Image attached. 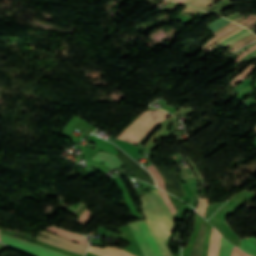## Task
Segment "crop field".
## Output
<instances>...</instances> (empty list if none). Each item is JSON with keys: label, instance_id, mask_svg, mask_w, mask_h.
Returning a JSON list of instances; mask_svg holds the SVG:
<instances>
[{"label": "crop field", "instance_id": "crop-field-6", "mask_svg": "<svg viewBox=\"0 0 256 256\" xmlns=\"http://www.w3.org/2000/svg\"><path fill=\"white\" fill-rule=\"evenodd\" d=\"M89 252L98 254L100 256H134L123 250L105 247L103 249L90 246Z\"/></svg>", "mask_w": 256, "mask_h": 256}, {"label": "crop field", "instance_id": "crop-field-12", "mask_svg": "<svg viewBox=\"0 0 256 256\" xmlns=\"http://www.w3.org/2000/svg\"><path fill=\"white\" fill-rule=\"evenodd\" d=\"M147 169L150 171L151 175L153 176L157 187L164 189L162 178H161L159 172L155 169V167L153 165H151V166H147Z\"/></svg>", "mask_w": 256, "mask_h": 256}, {"label": "crop field", "instance_id": "crop-field-8", "mask_svg": "<svg viewBox=\"0 0 256 256\" xmlns=\"http://www.w3.org/2000/svg\"><path fill=\"white\" fill-rule=\"evenodd\" d=\"M45 230L47 231H50L52 233H55V234H58L60 236H63V237H66L68 239H71L75 242H78V243H81V244H84V245H87L88 246V242L86 241V239L81 236V235H77V234H74V233H70V232H67L65 230H62V229H59V228H56L54 226L52 227H48V228H45Z\"/></svg>", "mask_w": 256, "mask_h": 256}, {"label": "crop field", "instance_id": "crop-field-17", "mask_svg": "<svg viewBox=\"0 0 256 256\" xmlns=\"http://www.w3.org/2000/svg\"><path fill=\"white\" fill-rule=\"evenodd\" d=\"M159 190V189H158ZM159 192L161 193L164 201L166 202V204L168 205V207L170 208L172 214L174 215L177 211L174 208V206L172 205V203L170 202L168 196L166 195V193L162 192L161 190H159Z\"/></svg>", "mask_w": 256, "mask_h": 256}, {"label": "crop field", "instance_id": "crop-field-24", "mask_svg": "<svg viewBox=\"0 0 256 256\" xmlns=\"http://www.w3.org/2000/svg\"><path fill=\"white\" fill-rule=\"evenodd\" d=\"M254 17V15H251L250 17H248L246 20L240 22L239 24L243 25L245 24L247 21H249L250 19H252Z\"/></svg>", "mask_w": 256, "mask_h": 256}, {"label": "crop field", "instance_id": "crop-field-16", "mask_svg": "<svg viewBox=\"0 0 256 256\" xmlns=\"http://www.w3.org/2000/svg\"><path fill=\"white\" fill-rule=\"evenodd\" d=\"M239 25L235 24L233 26H231L230 28H228L227 30L221 32L220 34L216 35L211 41H209L203 48L202 50L207 47L209 44H211L212 42H214L215 40H217L218 38H220L221 36H223L224 34H226L227 32L231 31L232 29L238 27Z\"/></svg>", "mask_w": 256, "mask_h": 256}, {"label": "crop field", "instance_id": "crop-field-14", "mask_svg": "<svg viewBox=\"0 0 256 256\" xmlns=\"http://www.w3.org/2000/svg\"><path fill=\"white\" fill-rule=\"evenodd\" d=\"M93 216L94 215L92 212L85 209L81 216L78 218L77 222L85 227V225L92 219Z\"/></svg>", "mask_w": 256, "mask_h": 256}, {"label": "crop field", "instance_id": "crop-field-15", "mask_svg": "<svg viewBox=\"0 0 256 256\" xmlns=\"http://www.w3.org/2000/svg\"><path fill=\"white\" fill-rule=\"evenodd\" d=\"M214 1L216 0H194L190 5L203 9Z\"/></svg>", "mask_w": 256, "mask_h": 256}, {"label": "crop field", "instance_id": "crop-field-9", "mask_svg": "<svg viewBox=\"0 0 256 256\" xmlns=\"http://www.w3.org/2000/svg\"><path fill=\"white\" fill-rule=\"evenodd\" d=\"M221 235L213 228L209 245L208 256H217Z\"/></svg>", "mask_w": 256, "mask_h": 256}, {"label": "crop field", "instance_id": "crop-field-11", "mask_svg": "<svg viewBox=\"0 0 256 256\" xmlns=\"http://www.w3.org/2000/svg\"><path fill=\"white\" fill-rule=\"evenodd\" d=\"M233 245L221 238L220 250L218 256H230Z\"/></svg>", "mask_w": 256, "mask_h": 256}, {"label": "crop field", "instance_id": "crop-field-1", "mask_svg": "<svg viewBox=\"0 0 256 256\" xmlns=\"http://www.w3.org/2000/svg\"><path fill=\"white\" fill-rule=\"evenodd\" d=\"M151 233L163 256H172L166 242L173 229L172 215L157 190L140 197ZM173 231V230H172Z\"/></svg>", "mask_w": 256, "mask_h": 256}, {"label": "crop field", "instance_id": "crop-field-5", "mask_svg": "<svg viewBox=\"0 0 256 256\" xmlns=\"http://www.w3.org/2000/svg\"><path fill=\"white\" fill-rule=\"evenodd\" d=\"M38 233L50 238V239H46V238L38 235L37 236L38 241H41V242H44L47 244H51V245H54V246H57V247H60V248H63V249L69 250V251H73V252H76V253H79L82 255H84V253L86 252V249H87L86 246L77 244L75 242L58 237L56 235L50 234L45 231L38 232Z\"/></svg>", "mask_w": 256, "mask_h": 256}, {"label": "crop field", "instance_id": "crop-field-2", "mask_svg": "<svg viewBox=\"0 0 256 256\" xmlns=\"http://www.w3.org/2000/svg\"><path fill=\"white\" fill-rule=\"evenodd\" d=\"M169 116L170 114L162 110L146 111L117 139L126 140L135 145L151 128Z\"/></svg>", "mask_w": 256, "mask_h": 256}, {"label": "crop field", "instance_id": "crop-field-23", "mask_svg": "<svg viewBox=\"0 0 256 256\" xmlns=\"http://www.w3.org/2000/svg\"><path fill=\"white\" fill-rule=\"evenodd\" d=\"M246 31H248V30H243V31H241V32H239V33H237V34H235V35H233V36H231V37H229V38H227L226 40H224L223 42H221V43H226V42H228V41H230L231 39H233L234 37H236V36H238V35H240V34H242V33H244V32H246Z\"/></svg>", "mask_w": 256, "mask_h": 256}, {"label": "crop field", "instance_id": "crop-field-21", "mask_svg": "<svg viewBox=\"0 0 256 256\" xmlns=\"http://www.w3.org/2000/svg\"><path fill=\"white\" fill-rule=\"evenodd\" d=\"M232 256H250L239 250L238 248L234 247V251Z\"/></svg>", "mask_w": 256, "mask_h": 256}, {"label": "crop field", "instance_id": "crop-field-13", "mask_svg": "<svg viewBox=\"0 0 256 256\" xmlns=\"http://www.w3.org/2000/svg\"><path fill=\"white\" fill-rule=\"evenodd\" d=\"M254 69L253 65L250 64L247 68H245L234 80L230 81L231 84L234 86L240 81H242L245 77H247L252 70Z\"/></svg>", "mask_w": 256, "mask_h": 256}, {"label": "crop field", "instance_id": "crop-field-3", "mask_svg": "<svg viewBox=\"0 0 256 256\" xmlns=\"http://www.w3.org/2000/svg\"><path fill=\"white\" fill-rule=\"evenodd\" d=\"M129 225L145 256H161L145 220Z\"/></svg>", "mask_w": 256, "mask_h": 256}, {"label": "crop field", "instance_id": "crop-field-18", "mask_svg": "<svg viewBox=\"0 0 256 256\" xmlns=\"http://www.w3.org/2000/svg\"><path fill=\"white\" fill-rule=\"evenodd\" d=\"M208 201L209 199L201 198V203L199 205V210L197 212L200 213L203 217L205 216V209L208 205Z\"/></svg>", "mask_w": 256, "mask_h": 256}, {"label": "crop field", "instance_id": "crop-field-10", "mask_svg": "<svg viewBox=\"0 0 256 256\" xmlns=\"http://www.w3.org/2000/svg\"><path fill=\"white\" fill-rule=\"evenodd\" d=\"M243 251L256 256V239L250 238L245 241H242V245L240 247Z\"/></svg>", "mask_w": 256, "mask_h": 256}, {"label": "crop field", "instance_id": "crop-field-22", "mask_svg": "<svg viewBox=\"0 0 256 256\" xmlns=\"http://www.w3.org/2000/svg\"><path fill=\"white\" fill-rule=\"evenodd\" d=\"M256 49V45L255 46H253V47H251V48H249L248 50H246V51H244L237 59H235L234 61H238L239 59H241L245 54H247V53H249V52H251V51H253V50H255ZM246 56V55H245Z\"/></svg>", "mask_w": 256, "mask_h": 256}, {"label": "crop field", "instance_id": "crop-field-20", "mask_svg": "<svg viewBox=\"0 0 256 256\" xmlns=\"http://www.w3.org/2000/svg\"><path fill=\"white\" fill-rule=\"evenodd\" d=\"M249 34H251V33L248 31V32H246V33H244V34H242V35H240V36L234 38L233 40H231L230 42H228V43L225 44V45H227V46H228V45H231V44H233L234 42L240 40L241 38H243V37H245V36H247V35H249Z\"/></svg>", "mask_w": 256, "mask_h": 256}, {"label": "crop field", "instance_id": "crop-field-26", "mask_svg": "<svg viewBox=\"0 0 256 256\" xmlns=\"http://www.w3.org/2000/svg\"><path fill=\"white\" fill-rule=\"evenodd\" d=\"M177 1H181V2H183V1H185V0H177Z\"/></svg>", "mask_w": 256, "mask_h": 256}, {"label": "crop field", "instance_id": "crop-field-7", "mask_svg": "<svg viewBox=\"0 0 256 256\" xmlns=\"http://www.w3.org/2000/svg\"><path fill=\"white\" fill-rule=\"evenodd\" d=\"M93 160L106 164L111 168V170L123 164L116 156L109 155L103 152H99L98 154H96Z\"/></svg>", "mask_w": 256, "mask_h": 256}, {"label": "crop field", "instance_id": "crop-field-25", "mask_svg": "<svg viewBox=\"0 0 256 256\" xmlns=\"http://www.w3.org/2000/svg\"><path fill=\"white\" fill-rule=\"evenodd\" d=\"M193 0H186L183 4L188 5L190 2H192Z\"/></svg>", "mask_w": 256, "mask_h": 256}, {"label": "crop field", "instance_id": "crop-field-4", "mask_svg": "<svg viewBox=\"0 0 256 256\" xmlns=\"http://www.w3.org/2000/svg\"><path fill=\"white\" fill-rule=\"evenodd\" d=\"M0 236L3 242L23 249L37 256H68L45 247L23 241L17 237L2 234H0Z\"/></svg>", "mask_w": 256, "mask_h": 256}, {"label": "crop field", "instance_id": "crop-field-19", "mask_svg": "<svg viewBox=\"0 0 256 256\" xmlns=\"http://www.w3.org/2000/svg\"><path fill=\"white\" fill-rule=\"evenodd\" d=\"M256 54V50L247 54L246 56H244L238 63H236L230 70L234 71L236 68H238L244 61H246L250 56Z\"/></svg>", "mask_w": 256, "mask_h": 256}]
</instances>
